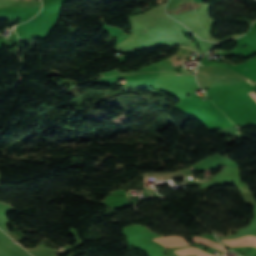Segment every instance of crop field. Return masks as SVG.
I'll list each match as a JSON object with an SVG mask.
<instances>
[{"label": "crop field", "instance_id": "1", "mask_svg": "<svg viewBox=\"0 0 256 256\" xmlns=\"http://www.w3.org/2000/svg\"><path fill=\"white\" fill-rule=\"evenodd\" d=\"M228 246H256V237L254 236H245L242 238L236 239H226L223 240Z\"/></svg>", "mask_w": 256, "mask_h": 256}, {"label": "crop field", "instance_id": "2", "mask_svg": "<svg viewBox=\"0 0 256 256\" xmlns=\"http://www.w3.org/2000/svg\"><path fill=\"white\" fill-rule=\"evenodd\" d=\"M154 240L163 244L166 247L185 246L189 244V243H186L183 238H178L175 236L161 237Z\"/></svg>", "mask_w": 256, "mask_h": 256}, {"label": "crop field", "instance_id": "3", "mask_svg": "<svg viewBox=\"0 0 256 256\" xmlns=\"http://www.w3.org/2000/svg\"><path fill=\"white\" fill-rule=\"evenodd\" d=\"M179 256H185V255H193L196 254L197 256H212L204 251H201L195 247L176 250L175 251Z\"/></svg>", "mask_w": 256, "mask_h": 256}, {"label": "crop field", "instance_id": "4", "mask_svg": "<svg viewBox=\"0 0 256 256\" xmlns=\"http://www.w3.org/2000/svg\"><path fill=\"white\" fill-rule=\"evenodd\" d=\"M193 242H199V243H204L206 245H211V246H214L220 250H222L223 252L226 251L224 247H222L220 244H216L208 239H205V238H197L195 237Z\"/></svg>", "mask_w": 256, "mask_h": 256}, {"label": "crop field", "instance_id": "5", "mask_svg": "<svg viewBox=\"0 0 256 256\" xmlns=\"http://www.w3.org/2000/svg\"><path fill=\"white\" fill-rule=\"evenodd\" d=\"M249 94L255 99L256 101V93H254L253 91L252 92H249Z\"/></svg>", "mask_w": 256, "mask_h": 256}]
</instances>
